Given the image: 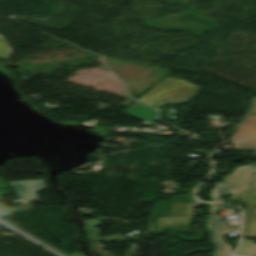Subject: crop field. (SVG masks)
Instances as JSON below:
<instances>
[{
    "label": "crop field",
    "instance_id": "obj_7",
    "mask_svg": "<svg viewBox=\"0 0 256 256\" xmlns=\"http://www.w3.org/2000/svg\"><path fill=\"white\" fill-rule=\"evenodd\" d=\"M88 235H89V239L92 243L93 246V250L94 252H96L98 255L100 256H112L109 253L112 252H105L104 249H107L106 247H104L103 245H101L100 241H114V240H120V241H126L125 237L122 235H115V236H110V238H105V239H100L98 238V234H97V230H92V231H87ZM115 252V251H113ZM115 256V255H114Z\"/></svg>",
    "mask_w": 256,
    "mask_h": 256
},
{
    "label": "crop field",
    "instance_id": "obj_2",
    "mask_svg": "<svg viewBox=\"0 0 256 256\" xmlns=\"http://www.w3.org/2000/svg\"><path fill=\"white\" fill-rule=\"evenodd\" d=\"M198 87L183 80L168 78L144 95L139 101L150 106L162 97H181L196 95Z\"/></svg>",
    "mask_w": 256,
    "mask_h": 256
},
{
    "label": "crop field",
    "instance_id": "obj_8",
    "mask_svg": "<svg viewBox=\"0 0 256 256\" xmlns=\"http://www.w3.org/2000/svg\"><path fill=\"white\" fill-rule=\"evenodd\" d=\"M150 109L149 106L136 101L125 113L140 120Z\"/></svg>",
    "mask_w": 256,
    "mask_h": 256
},
{
    "label": "crop field",
    "instance_id": "obj_13",
    "mask_svg": "<svg viewBox=\"0 0 256 256\" xmlns=\"http://www.w3.org/2000/svg\"><path fill=\"white\" fill-rule=\"evenodd\" d=\"M84 222H85L86 229H88V230L97 229L96 226L102 225L100 219L89 220V221H84Z\"/></svg>",
    "mask_w": 256,
    "mask_h": 256
},
{
    "label": "crop field",
    "instance_id": "obj_11",
    "mask_svg": "<svg viewBox=\"0 0 256 256\" xmlns=\"http://www.w3.org/2000/svg\"><path fill=\"white\" fill-rule=\"evenodd\" d=\"M193 97L194 96H191V97H181V98H165V99H162L161 101H159L158 104L155 105V108L158 109L162 105V103H169V104L186 103V102H188Z\"/></svg>",
    "mask_w": 256,
    "mask_h": 256
},
{
    "label": "crop field",
    "instance_id": "obj_14",
    "mask_svg": "<svg viewBox=\"0 0 256 256\" xmlns=\"http://www.w3.org/2000/svg\"><path fill=\"white\" fill-rule=\"evenodd\" d=\"M8 55V51L0 38V57L4 58Z\"/></svg>",
    "mask_w": 256,
    "mask_h": 256
},
{
    "label": "crop field",
    "instance_id": "obj_4",
    "mask_svg": "<svg viewBox=\"0 0 256 256\" xmlns=\"http://www.w3.org/2000/svg\"><path fill=\"white\" fill-rule=\"evenodd\" d=\"M237 199L241 200L246 206L242 222V237L256 238V189L237 195Z\"/></svg>",
    "mask_w": 256,
    "mask_h": 256
},
{
    "label": "crop field",
    "instance_id": "obj_10",
    "mask_svg": "<svg viewBox=\"0 0 256 256\" xmlns=\"http://www.w3.org/2000/svg\"><path fill=\"white\" fill-rule=\"evenodd\" d=\"M237 254L246 256H256V246L242 243Z\"/></svg>",
    "mask_w": 256,
    "mask_h": 256
},
{
    "label": "crop field",
    "instance_id": "obj_9",
    "mask_svg": "<svg viewBox=\"0 0 256 256\" xmlns=\"http://www.w3.org/2000/svg\"><path fill=\"white\" fill-rule=\"evenodd\" d=\"M237 151L255 150L256 151V138L248 141L239 142L233 146Z\"/></svg>",
    "mask_w": 256,
    "mask_h": 256
},
{
    "label": "crop field",
    "instance_id": "obj_12",
    "mask_svg": "<svg viewBox=\"0 0 256 256\" xmlns=\"http://www.w3.org/2000/svg\"><path fill=\"white\" fill-rule=\"evenodd\" d=\"M157 117V112L153 109H151L141 120L154 123L155 119Z\"/></svg>",
    "mask_w": 256,
    "mask_h": 256
},
{
    "label": "crop field",
    "instance_id": "obj_1",
    "mask_svg": "<svg viewBox=\"0 0 256 256\" xmlns=\"http://www.w3.org/2000/svg\"><path fill=\"white\" fill-rule=\"evenodd\" d=\"M256 188V163L248 166L236 168L234 173L227 176L221 183L215 185L210 196L211 201H223L224 196L234 193L236 194Z\"/></svg>",
    "mask_w": 256,
    "mask_h": 256
},
{
    "label": "crop field",
    "instance_id": "obj_15",
    "mask_svg": "<svg viewBox=\"0 0 256 256\" xmlns=\"http://www.w3.org/2000/svg\"><path fill=\"white\" fill-rule=\"evenodd\" d=\"M69 256H84V255H82V254L79 253V252H75V253H73V254H71V255H69Z\"/></svg>",
    "mask_w": 256,
    "mask_h": 256
},
{
    "label": "crop field",
    "instance_id": "obj_5",
    "mask_svg": "<svg viewBox=\"0 0 256 256\" xmlns=\"http://www.w3.org/2000/svg\"><path fill=\"white\" fill-rule=\"evenodd\" d=\"M20 196L21 200L12 201L14 205L39 200L36 193L46 189L44 181H26L10 183Z\"/></svg>",
    "mask_w": 256,
    "mask_h": 256
},
{
    "label": "crop field",
    "instance_id": "obj_3",
    "mask_svg": "<svg viewBox=\"0 0 256 256\" xmlns=\"http://www.w3.org/2000/svg\"><path fill=\"white\" fill-rule=\"evenodd\" d=\"M210 216L206 222L207 229L211 233V240L215 245L214 256H230V245L225 243L224 234L228 232L227 225H221L219 217L215 216V209H224V204H208Z\"/></svg>",
    "mask_w": 256,
    "mask_h": 256
},
{
    "label": "crop field",
    "instance_id": "obj_6",
    "mask_svg": "<svg viewBox=\"0 0 256 256\" xmlns=\"http://www.w3.org/2000/svg\"><path fill=\"white\" fill-rule=\"evenodd\" d=\"M256 135V97L251 98L250 106L241 121L232 141Z\"/></svg>",
    "mask_w": 256,
    "mask_h": 256
}]
</instances>
